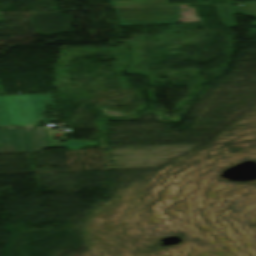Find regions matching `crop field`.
I'll use <instances>...</instances> for the list:
<instances>
[{
  "instance_id": "1",
  "label": "crop field",
  "mask_w": 256,
  "mask_h": 256,
  "mask_svg": "<svg viewBox=\"0 0 256 256\" xmlns=\"http://www.w3.org/2000/svg\"><path fill=\"white\" fill-rule=\"evenodd\" d=\"M53 103L52 93L0 95V126H37L45 106Z\"/></svg>"
},
{
  "instance_id": "8",
  "label": "crop field",
  "mask_w": 256,
  "mask_h": 256,
  "mask_svg": "<svg viewBox=\"0 0 256 256\" xmlns=\"http://www.w3.org/2000/svg\"><path fill=\"white\" fill-rule=\"evenodd\" d=\"M1 21H4V20H3V18H2V15L0 14V22H1Z\"/></svg>"
},
{
  "instance_id": "6",
  "label": "crop field",
  "mask_w": 256,
  "mask_h": 256,
  "mask_svg": "<svg viewBox=\"0 0 256 256\" xmlns=\"http://www.w3.org/2000/svg\"><path fill=\"white\" fill-rule=\"evenodd\" d=\"M154 3H168L167 0H124L114 1V5H131V4H154Z\"/></svg>"
},
{
  "instance_id": "4",
  "label": "crop field",
  "mask_w": 256,
  "mask_h": 256,
  "mask_svg": "<svg viewBox=\"0 0 256 256\" xmlns=\"http://www.w3.org/2000/svg\"><path fill=\"white\" fill-rule=\"evenodd\" d=\"M216 9L221 19L228 27L236 26L230 14L246 13L251 16H256V3L246 4L244 6H221ZM253 25H256V22H254Z\"/></svg>"
},
{
  "instance_id": "5",
  "label": "crop field",
  "mask_w": 256,
  "mask_h": 256,
  "mask_svg": "<svg viewBox=\"0 0 256 256\" xmlns=\"http://www.w3.org/2000/svg\"><path fill=\"white\" fill-rule=\"evenodd\" d=\"M85 146H96V141L69 140L61 145V147H67L70 150H79Z\"/></svg>"
},
{
  "instance_id": "2",
  "label": "crop field",
  "mask_w": 256,
  "mask_h": 256,
  "mask_svg": "<svg viewBox=\"0 0 256 256\" xmlns=\"http://www.w3.org/2000/svg\"><path fill=\"white\" fill-rule=\"evenodd\" d=\"M48 143L46 129H0V153L37 152Z\"/></svg>"
},
{
  "instance_id": "7",
  "label": "crop field",
  "mask_w": 256,
  "mask_h": 256,
  "mask_svg": "<svg viewBox=\"0 0 256 256\" xmlns=\"http://www.w3.org/2000/svg\"><path fill=\"white\" fill-rule=\"evenodd\" d=\"M177 4H187V3H177ZM154 5H170V4H154ZM132 6H148V5H132Z\"/></svg>"
},
{
  "instance_id": "3",
  "label": "crop field",
  "mask_w": 256,
  "mask_h": 256,
  "mask_svg": "<svg viewBox=\"0 0 256 256\" xmlns=\"http://www.w3.org/2000/svg\"><path fill=\"white\" fill-rule=\"evenodd\" d=\"M121 25L176 23L178 6L115 8Z\"/></svg>"
}]
</instances>
